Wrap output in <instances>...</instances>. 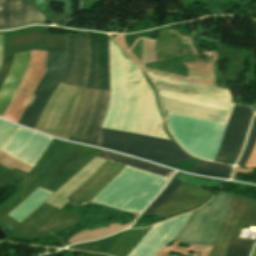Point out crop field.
I'll list each match as a JSON object with an SVG mask.
<instances>
[{
    "instance_id": "1",
    "label": "crop field",
    "mask_w": 256,
    "mask_h": 256,
    "mask_svg": "<svg viewBox=\"0 0 256 256\" xmlns=\"http://www.w3.org/2000/svg\"><path fill=\"white\" fill-rule=\"evenodd\" d=\"M64 78L93 86L58 137L102 147L99 127L109 97L107 37L90 33L67 35Z\"/></svg>"
},
{
    "instance_id": "2",
    "label": "crop field",
    "mask_w": 256,
    "mask_h": 256,
    "mask_svg": "<svg viewBox=\"0 0 256 256\" xmlns=\"http://www.w3.org/2000/svg\"><path fill=\"white\" fill-rule=\"evenodd\" d=\"M103 147L154 162L190 159L173 141L102 129Z\"/></svg>"
},
{
    "instance_id": "3",
    "label": "crop field",
    "mask_w": 256,
    "mask_h": 256,
    "mask_svg": "<svg viewBox=\"0 0 256 256\" xmlns=\"http://www.w3.org/2000/svg\"><path fill=\"white\" fill-rule=\"evenodd\" d=\"M230 196L228 193H218L213 197L210 207L205 206L193 212L174 240L213 245Z\"/></svg>"
},
{
    "instance_id": "4",
    "label": "crop field",
    "mask_w": 256,
    "mask_h": 256,
    "mask_svg": "<svg viewBox=\"0 0 256 256\" xmlns=\"http://www.w3.org/2000/svg\"><path fill=\"white\" fill-rule=\"evenodd\" d=\"M48 53L46 69L19 124L34 128L66 69V52Z\"/></svg>"
},
{
    "instance_id": "5",
    "label": "crop field",
    "mask_w": 256,
    "mask_h": 256,
    "mask_svg": "<svg viewBox=\"0 0 256 256\" xmlns=\"http://www.w3.org/2000/svg\"><path fill=\"white\" fill-rule=\"evenodd\" d=\"M252 111L234 107L214 161L234 164L243 145Z\"/></svg>"
},
{
    "instance_id": "6",
    "label": "crop field",
    "mask_w": 256,
    "mask_h": 256,
    "mask_svg": "<svg viewBox=\"0 0 256 256\" xmlns=\"http://www.w3.org/2000/svg\"><path fill=\"white\" fill-rule=\"evenodd\" d=\"M209 195L204 190L182 182L174 193L154 212V215L170 217L179 212L198 207Z\"/></svg>"
},
{
    "instance_id": "7",
    "label": "crop field",
    "mask_w": 256,
    "mask_h": 256,
    "mask_svg": "<svg viewBox=\"0 0 256 256\" xmlns=\"http://www.w3.org/2000/svg\"><path fill=\"white\" fill-rule=\"evenodd\" d=\"M45 17L25 0H0V29L43 22Z\"/></svg>"
},
{
    "instance_id": "8",
    "label": "crop field",
    "mask_w": 256,
    "mask_h": 256,
    "mask_svg": "<svg viewBox=\"0 0 256 256\" xmlns=\"http://www.w3.org/2000/svg\"><path fill=\"white\" fill-rule=\"evenodd\" d=\"M125 166L107 161L100 169L67 199L81 205L90 202Z\"/></svg>"
},
{
    "instance_id": "9",
    "label": "crop field",
    "mask_w": 256,
    "mask_h": 256,
    "mask_svg": "<svg viewBox=\"0 0 256 256\" xmlns=\"http://www.w3.org/2000/svg\"><path fill=\"white\" fill-rule=\"evenodd\" d=\"M30 53L31 51L14 54L10 72L0 88V116H2L28 67Z\"/></svg>"
},
{
    "instance_id": "10",
    "label": "crop field",
    "mask_w": 256,
    "mask_h": 256,
    "mask_svg": "<svg viewBox=\"0 0 256 256\" xmlns=\"http://www.w3.org/2000/svg\"><path fill=\"white\" fill-rule=\"evenodd\" d=\"M98 157L113 161V162H117L120 164H124L127 166H131V167H135V168H139V169H143L152 173H156L159 175L164 176L165 174H167L169 172V170L167 168H163L157 165H153L147 162H143L134 158H130V157H126V156H122L119 154H115V153H111L108 151H104L102 150L100 152V154L98 155Z\"/></svg>"
},
{
    "instance_id": "11",
    "label": "crop field",
    "mask_w": 256,
    "mask_h": 256,
    "mask_svg": "<svg viewBox=\"0 0 256 256\" xmlns=\"http://www.w3.org/2000/svg\"><path fill=\"white\" fill-rule=\"evenodd\" d=\"M229 169V166L199 160L193 173L211 177L227 178Z\"/></svg>"
},
{
    "instance_id": "12",
    "label": "crop field",
    "mask_w": 256,
    "mask_h": 256,
    "mask_svg": "<svg viewBox=\"0 0 256 256\" xmlns=\"http://www.w3.org/2000/svg\"><path fill=\"white\" fill-rule=\"evenodd\" d=\"M253 242L232 239L226 256H248Z\"/></svg>"
},
{
    "instance_id": "13",
    "label": "crop field",
    "mask_w": 256,
    "mask_h": 256,
    "mask_svg": "<svg viewBox=\"0 0 256 256\" xmlns=\"http://www.w3.org/2000/svg\"><path fill=\"white\" fill-rule=\"evenodd\" d=\"M255 142H256V117H254V119H253L249 138H248L247 144L245 146V149L242 153V156L239 160L238 165H242V166L244 165L245 161L247 160L248 156L250 155V153L254 147Z\"/></svg>"
},
{
    "instance_id": "14",
    "label": "crop field",
    "mask_w": 256,
    "mask_h": 256,
    "mask_svg": "<svg viewBox=\"0 0 256 256\" xmlns=\"http://www.w3.org/2000/svg\"><path fill=\"white\" fill-rule=\"evenodd\" d=\"M180 183V181L174 180L144 214L151 215L173 193Z\"/></svg>"
},
{
    "instance_id": "15",
    "label": "crop field",
    "mask_w": 256,
    "mask_h": 256,
    "mask_svg": "<svg viewBox=\"0 0 256 256\" xmlns=\"http://www.w3.org/2000/svg\"><path fill=\"white\" fill-rule=\"evenodd\" d=\"M251 256H256V246H255Z\"/></svg>"
}]
</instances>
